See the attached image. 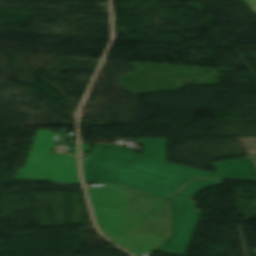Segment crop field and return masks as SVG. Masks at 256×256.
Returning a JSON list of instances; mask_svg holds the SVG:
<instances>
[{"mask_svg":"<svg viewBox=\"0 0 256 256\" xmlns=\"http://www.w3.org/2000/svg\"><path fill=\"white\" fill-rule=\"evenodd\" d=\"M144 154L119 146L96 145L88 158L82 160L85 183L119 184L142 193L169 199L170 236L154 250L184 255L199 210L190 201L193 194L220 184V180L196 179L174 197L192 177L256 180V166L250 160L215 162L214 174L165 162L164 138L140 139Z\"/></svg>","mask_w":256,"mask_h":256,"instance_id":"crop-field-1","label":"crop field"},{"mask_svg":"<svg viewBox=\"0 0 256 256\" xmlns=\"http://www.w3.org/2000/svg\"><path fill=\"white\" fill-rule=\"evenodd\" d=\"M57 136L50 131H38L33 140L29 158L14 179L81 184L78 177L77 158L51 153Z\"/></svg>","mask_w":256,"mask_h":256,"instance_id":"crop-field-2","label":"crop field"},{"mask_svg":"<svg viewBox=\"0 0 256 256\" xmlns=\"http://www.w3.org/2000/svg\"><path fill=\"white\" fill-rule=\"evenodd\" d=\"M252 157H253V159L255 160V162H256V155H252Z\"/></svg>","mask_w":256,"mask_h":256,"instance_id":"crop-field-3","label":"crop field"}]
</instances>
